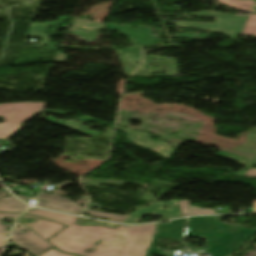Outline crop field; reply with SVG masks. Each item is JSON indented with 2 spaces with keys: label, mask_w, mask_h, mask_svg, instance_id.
Returning a JSON list of instances; mask_svg holds the SVG:
<instances>
[{
  "label": "crop field",
  "mask_w": 256,
  "mask_h": 256,
  "mask_svg": "<svg viewBox=\"0 0 256 256\" xmlns=\"http://www.w3.org/2000/svg\"><path fill=\"white\" fill-rule=\"evenodd\" d=\"M242 34L256 35V15L249 16Z\"/></svg>",
  "instance_id": "18"
},
{
  "label": "crop field",
  "mask_w": 256,
  "mask_h": 256,
  "mask_svg": "<svg viewBox=\"0 0 256 256\" xmlns=\"http://www.w3.org/2000/svg\"><path fill=\"white\" fill-rule=\"evenodd\" d=\"M253 203H254V212H256V201L253 200Z\"/></svg>",
  "instance_id": "25"
},
{
  "label": "crop field",
  "mask_w": 256,
  "mask_h": 256,
  "mask_svg": "<svg viewBox=\"0 0 256 256\" xmlns=\"http://www.w3.org/2000/svg\"><path fill=\"white\" fill-rule=\"evenodd\" d=\"M224 5L234 7L238 10L247 11L251 10L254 1L247 0H218Z\"/></svg>",
  "instance_id": "16"
},
{
  "label": "crop field",
  "mask_w": 256,
  "mask_h": 256,
  "mask_svg": "<svg viewBox=\"0 0 256 256\" xmlns=\"http://www.w3.org/2000/svg\"><path fill=\"white\" fill-rule=\"evenodd\" d=\"M216 156H220V157H224V158H228L231 160H235L237 162H239L241 165L246 166L244 169H249V171H244V169L242 170V172L239 173H233L231 175H236V176H252V177H256V169L251 168L253 165L256 164V162H254V160H248V159H244L235 155H231L225 152H220L218 154H216ZM243 160V162H241ZM246 162V163H244ZM254 167V166H253Z\"/></svg>",
  "instance_id": "14"
},
{
  "label": "crop field",
  "mask_w": 256,
  "mask_h": 256,
  "mask_svg": "<svg viewBox=\"0 0 256 256\" xmlns=\"http://www.w3.org/2000/svg\"><path fill=\"white\" fill-rule=\"evenodd\" d=\"M124 52L123 56H131L134 61L141 62L140 60V48H132V49H122ZM136 53V56L132 54Z\"/></svg>",
  "instance_id": "19"
},
{
  "label": "crop field",
  "mask_w": 256,
  "mask_h": 256,
  "mask_svg": "<svg viewBox=\"0 0 256 256\" xmlns=\"http://www.w3.org/2000/svg\"><path fill=\"white\" fill-rule=\"evenodd\" d=\"M26 213L68 225L49 242L60 250L83 256H145L155 231V224L145 226L119 225L117 229H109L100 226L74 225L77 219L74 216L42 210L27 211ZM98 240L100 242L93 253L84 252L87 248L92 249Z\"/></svg>",
  "instance_id": "1"
},
{
  "label": "crop field",
  "mask_w": 256,
  "mask_h": 256,
  "mask_svg": "<svg viewBox=\"0 0 256 256\" xmlns=\"http://www.w3.org/2000/svg\"><path fill=\"white\" fill-rule=\"evenodd\" d=\"M7 234H4V233H0V247H3L5 241H6V238H7Z\"/></svg>",
  "instance_id": "23"
},
{
  "label": "crop field",
  "mask_w": 256,
  "mask_h": 256,
  "mask_svg": "<svg viewBox=\"0 0 256 256\" xmlns=\"http://www.w3.org/2000/svg\"><path fill=\"white\" fill-rule=\"evenodd\" d=\"M256 230L220 223L217 216L190 217L185 236H206L208 253L229 256Z\"/></svg>",
  "instance_id": "2"
},
{
  "label": "crop field",
  "mask_w": 256,
  "mask_h": 256,
  "mask_svg": "<svg viewBox=\"0 0 256 256\" xmlns=\"http://www.w3.org/2000/svg\"><path fill=\"white\" fill-rule=\"evenodd\" d=\"M46 102H20L0 105V116L6 121L0 123V139L4 140L21 127V123L42 110Z\"/></svg>",
  "instance_id": "3"
},
{
  "label": "crop field",
  "mask_w": 256,
  "mask_h": 256,
  "mask_svg": "<svg viewBox=\"0 0 256 256\" xmlns=\"http://www.w3.org/2000/svg\"><path fill=\"white\" fill-rule=\"evenodd\" d=\"M209 35H202V34H183L174 36V38H184V39H205Z\"/></svg>",
  "instance_id": "20"
},
{
  "label": "crop field",
  "mask_w": 256,
  "mask_h": 256,
  "mask_svg": "<svg viewBox=\"0 0 256 256\" xmlns=\"http://www.w3.org/2000/svg\"><path fill=\"white\" fill-rule=\"evenodd\" d=\"M106 27H109L111 30H122V34L128 36L131 39H135V41H132L134 45L157 46L155 43H159V39L156 38L157 36H153L152 34L156 33L158 36L161 35L160 32H152L149 29L140 26H135L139 28H130L126 26L118 27L115 25H106Z\"/></svg>",
  "instance_id": "9"
},
{
  "label": "crop field",
  "mask_w": 256,
  "mask_h": 256,
  "mask_svg": "<svg viewBox=\"0 0 256 256\" xmlns=\"http://www.w3.org/2000/svg\"><path fill=\"white\" fill-rule=\"evenodd\" d=\"M18 214H13V213H0V219L4 218V217H10V218H14L16 219ZM6 227H4L1 223H0V232H4L9 234L8 232H5Z\"/></svg>",
  "instance_id": "21"
},
{
  "label": "crop field",
  "mask_w": 256,
  "mask_h": 256,
  "mask_svg": "<svg viewBox=\"0 0 256 256\" xmlns=\"http://www.w3.org/2000/svg\"><path fill=\"white\" fill-rule=\"evenodd\" d=\"M65 57H66V55H63V54L58 52L54 60L64 62L65 61Z\"/></svg>",
  "instance_id": "24"
},
{
  "label": "crop field",
  "mask_w": 256,
  "mask_h": 256,
  "mask_svg": "<svg viewBox=\"0 0 256 256\" xmlns=\"http://www.w3.org/2000/svg\"><path fill=\"white\" fill-rule=\"evenodd\" d=\"M61 196L62 195L59 194L41 192L38 196V199L47 200V203L37 202L36 206L74 214H80L82 212L83 209L75 204L72 200L69 198H62Z\"/></svg>",
  "instance_id": "8"
},
{
  "label": "crop field",
  "mask_w": 256,
  "mask_h": 256,
  "mask_svg": "<svg viewBox=\"0 0 256 256\" xmlns=\"http://www.w3.org/2000/svg\"><path fill=\"white\" fill-rule=\"evenodd\" d=\"M21 217H33V216L23 215ZM33 218H36V217H33ZM37 219H38V222L35 224H24V225H26L28 228L29 226H32V228H29V229L39 234L40 236H42L45 240L64 227L63 225L46 221L40 218H37Z\"/></svg>",
  "instance_id": "11"
},
{
  "label": "crop field",
  "mask_w": 256,
  "mask_h": 256,
  "mask_svg": "<svg viewBox=\"0 0 256 256\" xmlns=\"http://www.w3.org/2000/svg\"><path fill=\"white\" fill-rule=\"evenodd\" d=\"M165 206H167L168 208L163 209V207ZM177 213L178 215H176ZM146 214L163 216L165 220L181 216L176 200H172L169 202H154L153 204L144 209L136 210L133 214L128 216L125 223L136 224L138 223V221H140L141 217Z\"/></svg>",
  "instance_id": "6"
},
{
  "label": "crop field",
  "mask_w": 256,
  "mask_h": 256,
  "mask_svg": "<svg viewBox=\"0 0 256 256\" xmlns=\"http://www.w3.org/2000/svg\"><path fill=\"white\" fill-rule=\"evenodd\" d=\"M42 256H72V255L62 254L54 249H50L49 251L44 253Z\"/></svg>",
  "instance_id": "22"
},
{
  "label": "crop field",
  "mask_w": 256,
  "mask_h": 256,
  "mask_svg": "<svg viewBox=\"0 0 256 256\" xmlns=\"http://www.w3.org/2000/svg\"><path fill=\"white\" fill-rule=\"evenodd\" d=\"M20 228L15 227L10 239L17 243L22 248L30 251L35 256L44 252L45 250L53 247L46 242L42 237L38 236L24 225L17 223ZM26 230L27 232H21L20 230Z\"/></svg>",
  "instance_id": "5"
},
{
  "label": "crop field",
  "mask_w": 256,
  "mask_h": 256,
  "mask_svg": "<svg viewBox=\"0 0 256 256\" xmlns=\"http://www.w3.org/2000/svg\"><path fill=\"white\" fill-rule=\"evenodd\" d=\"M145 57V63L149 71L155 72V71H164L167 74L166 75H176V72L173 70L175 68V60L171 59H164L163 62H153L152 59L160 60L161 58L156 56H144ZM149 65H156L159 66L158 69H151Z\"/></svg>",
  "instance_id": "13"
},
{
  "label": "crop field",
  "mask_w": 256,
  "mask_h": 256,
  "mask_svg": "<svg viewBox=\"0 0 256 256\" xmlns=\"http://www.w3.org/2000/svg\"><path fill=\"white\" fill-rule=\"evenodd\" d=\"M190 15H196L197 17L215 18L216 23H190V22H177V27L186 28H202L210 29L212 32L230 33L233 40H236L237 36L241 34L242 28L248 18V16L239 15H220L217 12H200L190 13Z\"/></svg>",
  "instance_id": "4"
},
{
  "label": "crop field",
  "mask_w": 256,
  "mask_h": 256,
  "mask_svg": "<svg viewBox=\"0 0 256 256\" xmlns=\"http://www.w3.org/2000/svg\"><path fill=\"white\" fill-rule=\"evenodd\" d=\"M185 219H177L171 221L169 224H160L158 227V234L155 238H179L182 237V231Z\"/></svg>",
  "instance_id": "12"
},
{
  "label": "crop field",
  "mask_w": 256,
  "mask_h": 256,
  "mask_svg": "<svg viewBox=\"0 0 256 256\" xmlns=\"http://www.w3.org/2000/svg\"><path fill=\"white\" fill-rule=\"evenodd\" d=\"M100 28L105 29V26L95 21L75 18L68 32L81 37L84 41L92 42ZM91 34L95 36L92 37Z\"/></svg>",
  "instance_id": "10"
},
{
  "label": "crop field",
  "mask_w": 256,
  "mask_h": 256,
  "mask_svg": "<svg viewBox=\"0 0 256 256\" xmlns=\"http://www.w3.org/2000/svg\"><path fill=\"white\" fill-rule=\"evenodd\" d=\"M86 212H88L91 216L99 217V218H107L108 220L113 222L124 223L125 219L127 218V216L105 214V213H100V212H96L89 209H86Z\"/></svg>",
  "instance_id": "17"
},
{
  "label": "crop field",
  "mask_w": 256,
  "mask_h": 256,
  "mask_svg": "<svg viewBox=\"0 0 256 256\" xmlns=\"http://www.w3.org/2000/svg\"><path fill=\"white\" fill-rule=\"evenodd\" d=\"M28 206L13 197L0 199V212L21 213Z\"/></svg>",
  "instance_id": "15"
},
{
  "label": "crop field",
  "mask_w": 256,
  "mask_h": 256,
  "mask_svg": "<svg viewBox=\"0 0 256 256\" xmlns=\"http://www.w3.org/2000/svg\"><path fill=\"white\" fill-rule=\"evenodd\" d=\"M117 129L126 132V139L130 140L134 144L142 148L151 150L167 159H169L174 154L172 148L169 145L162 141L154 142L152 139L149 138L150 135L145 132H136L133 130L122 129L119 127Z\"/></svg>",
  "instance_id": "7"
}]
</instances>
